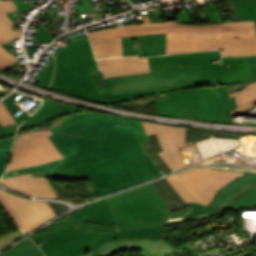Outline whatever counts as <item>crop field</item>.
<instances>
[{"instance_id":"obj_1","label":"crop field","mask_w":256,"mask_h":256,"mask_svg":"<svg viewBox=\"0 0 256 256\" xmlns=\"http://www.w3.org/2000/svg\"><path fill=\"white\" fill-rule=\"evenodd\" d=\"M50 137L63 159L50 163L53 170L33 177L88 180L97 197L162 176L139 146L134 133L84 138L51 127Z\"/></svg>"},{"instance_id":"obj_2","label":"crop field","mask_w":256,"mask_h":256,"mask_svg":"<svg viewBox=\"0 0 256 256\" xmlns=\"http://www.w3.org/2000/svg\"><path fill=\"white\" fill-rule=\"evenodd\" d=\"M106 200L116 225L82 223L78 217L34 241L41 243L40 249L46 256H89L99 244L109 240L159 238L170 210L153 183Z\"/></svg>"},{"instance_id":"obj_3","label":"crop field","mask_w":256,"mask_h":256,"mask_svg":"<svg viewBox=\"0 0 256 256\" xmlns=\"http://www.w3.org/2000/svg\"><path fill=\"white\" fill-rule=\"evenodd\" d=\"M51 90L107 104L132 99L152 89L200 84L198 66H149L151 73L104 78L98 71L89 39L74 41L56 55Z\"/></svg>"},{"instance_id":"obj_4","label":"crop field","mask_w":256,"mask_h":256,"mask_svg":"<svg viewBox=\"0 0 256 256\" xmlns=\"http://www.w3.org/2000/svg\"><path fill=\"white\" fill-rule=\"evenodd\" d=\"M88 32L96 58L123 56L121 37L167 33L166 54L199 50H221L223 56L256 55L254 21L215 24H178L177 21L150 23Z\"/></svg>"},{"instance_id":"obj_5","label":"crop field","mask_w":256,"mask_h":256,"mask_svg":"<svg viewBox=\"0 0 256 256\" xmlns=\"http://www.w3.org/2000/svg\"><path fill=\"white\" fill-rule=\"evenodd\" d=\"M201 85L153 90L167 98L157 100L159 115L228 122L236 108L235 98L226 99L225 85L251 80L245 57H222V64L199 66Z\"/></svg>"},{"instance_id":"obj_6","label":"crop field","mask_w":256,"mask_h":256,"mask_svg":"<svg viewBox=\"0 0 256 256\" xmlns=\"http://www.w3.org/2000/svg\"><path fill=\"white\" fill-rule=\"evenodd\" d=\"M52 103L59 112L63 133L84 137H104L134 132L129 119L83 111L53 101Z\"/></svg>"},{"instance_id":"obj_7","label":"crop field","mask_w":256,"mask_h":256,"mask_svg":"<svg viewBox=\"0 0 256 256\" xmlns=\"http://www.w3.org/2000/svg\"><path fill=\"white\" fill-rule=\"evenodd\" d=\"M147 135L156 133L164 151L158 153L171 171L182 169L200 162L193 143L185 145V131L173 126L141 121Z\"/></svg>"},{"instance_id":"obj_8","label":"crop field","mask_w":256,"mask_h":256,"mask_svg":"<svg viewBox=\"0 0 256 256\" xmlns=\"http://www.w3.org/2000/svg\"><path fill=\"white\" fill-rule=\"evenodd\" d=\"M49 130L34 131L20 135L15 140L7 170L50 163L63 156L48 136Z\"/></svg>"},{"instance_id":"obj_9","label":"crop field","mask_w":256,"mask_h":256,"mask_svg":"<svg viewBox=\"0 0 256 256\" xmlns=\"http://www.w3.org/2000/svg\"><path fill=\"white\" fill-rule=\"evenodd\" d=\"M244 174L196 167L174 176L197 202L207 205L222 186Z\"/></svg>"},{"instance_id":"obj_10","label":"crop field","mask_w":256,"mask_h":256,"mask_svg":"<svg viewBox=\"0 0 256 256\" xmlns=\"http://www.w3.org/2000/svg\"><path fill=\"white\" fill-rule=\"evenodd\" d=\"M0 204L24 233L56 217L47 202L17 197L1 189Z\"/></svg>"},{"instance_id":"obj_11","label":"crop field","mask_w":256,"mask_h":256,"mask_svg":"<svg viewBox=\"0 0 256 256\" xmlns=\"http://www.w3.org/2000/svg\"><path fill=\"white\" fill-rule=\"evenodd\" d=\"M126 249H140L142 256H169L175 253L173 247L165 241L147 238H121L98 246L90 256H109Z\"/></svg>"},{"instance_id":"obj_12","label":"crop field","mask_w":256,"mask_h":256,"mask_svg":"<svg viewBox=\"0 0 256 256\" xmlns=\"http://www.w3.org/2000/svg\"><path fill=\"white\" fill-rule=\"evenodd\" d=\"M17 10L13 0H0V70H7L18 59L10 54L2 45L21 37L22 32L12 30L13 22L6 12Z\"/></svg>"},{"instance_id":"obj_13","label":"crop field","mask_w":256,"mask_h":256,"mask_svg":"<svg viewBox=\"0 0 256 256\" xmlns=\"http://www.w3.org/2000/svg\"><path fill=\"white\" fill-rule=\"evenodd\" d=\"M0 183L21 193L40 198L59 199L47 178H32L30 174L2 179Z\"/></svg>"},{"instance_id":"obj_14","label":"crop field","mask_w":256,"mask_h":256,"mask_svg":"<svg viewBox=\"0 0 256 256\" xmlns=\"http://www.w3.org/2000/svg\"><path fill=\"white\" fill-rule=\"evenodd\" d=\"M105 77L150 72L147 58L128 56L96 60Z\"/></svg>"},{"instance_id":"obj_15","label":"crop field","mask_w":256,"mask_h":256,"mask_svg":"<svg viewBox=\"0 0 256 256\" xmlns=\"http://www.w3.org/2000/svg\"><path fill=\"white\" fill-rule=\"evenodd\" d=\"M80 216L83 222H92V223H98V224H106V225H113L114 221L112 219V216L110 214V210L108 208L106 200H101L98 202H95L85 208H82L77 211L76 214L54 224L53 226L47 228L45 231L31 237L33 240L40 237L41 235L61 226L62 224L76 218L77 216Z\"/></svg>"},{"instance_id":"obj_16","label":"crop field","mask_w":256,"mask_h":256,"mask_svg":"<svg viewBox=\"0 0 256 256\" xmlns=\"http://www.w3.org/2000/svg\"><path fill=\"white\" fill-rule=\"evenodd\" d=\"M220 59L219 51H206L199 53H185L180 55H168L148 57L149 65L180 63L182 65L212 64L211 60Z\"/></svg>"},{"instance_id":"obj_17","label":"crop field","mask_w":256,"mask_h":256,"mask_svg":"<svg viewBox=\"0 0 256 256\" xmlns=\"http://www.w3.org/2000/svg\"><path fill=\"white\" fill-rule=\"evenodd\" d=\"M256 183V174L248 173L243 177L236 178L224 187H222L215 195L213 201L207 205L212 211H219V209L226 203V201L235 194L238 190L246 185Z\"/></svg>"},{"instance_id":"obj_18","label":"crop field","mask_w":256,"mask_h":256,"mask_svg":"<svg viewBox=\"0 0 256 256\" xmlns=\"http://www.w3.org/2000/svg\"><path fill=\"white\" fill-rule=\"evenodd\" d=\"M215 213H213L211 210L203 205L190 202L189 206L186 207L184 210L171 212L166 224L177 221L200 219Z\"/></svg>"},{"instance_id":"obj_19","label":"crop field","mask_w":256,"mask_h":256,"mask_svg":"<svg viewBox=\"0 0 256 256\" xmlns=\"http://www.w3.org/2000/svg\"><path fill=\"white\" fill-rule=\"evenodd\" d=\"M56 113L57 110L51 101L46 100L32 116H30L25 122L22 123V127L26 131L34 126L51 121L55 118H58Z\"/></svg>"},{"instance_id":"obj_20","label":"crop field","mask_w":256,"mask_h":256,"mask_svg":"<svg viewBox=\"0 0 256 256\" xmlns=\"http://www.w3.org/2000/svg\"><path fill=\"white\" fill-rule=\"evenodd\" d=\"M233 96L236 98L238 108L229 112L230 117L256 104V82L249 84L245 89L239 92L228 94L229 98Z\"/></svg>"},{"instance_id":"obj_21","label":"crop field","mask_w":256,"mask_h":256,"mask_svg":"<svg viewBox=\"0 0 256 256\" xmlns=\"http://www.w3.org/2000/svg\"><path fill=\"white\" fill-rule=\"evenodd\" d=\"M154 185L167 203L170 210L184 207L186 205L165 178L154 182Z\"/></svg>"},{"instance_id":"obj_22","label":"crop field","mask_w":256,"mask_h":256,"mask_svg":"<svg viewBox=\"0 0 256 256\" xmlns=\"http://www.w3.org/2000/svg\"><path fill=\"white\" fill-rule=\"evenodd\" d=\"M227 207L235 210L256 207V185L238 193L236 197L228 203Z\"/></svg>"},{"instance_id":"obj_23","label":"crop field","mask_w":256,"mask_h":256,"mask_svg":"<svg viewBox=\"0 0 256 256\" xmlns=\"http://www.w3.org/2000/svg\"><path fill=\"white\" fill-rule=\"evenodd\" d=\"M165 44L166 34L146 35L145 56L165 55Z\"/></svg>"},{"instance_id":"obj_24","label":"crop field","mask_w":256,"mask_h":256,"mask_svg":"<svg viewBox=\"0 0 256 256\" xmlns=\"http://www.w3.org/2000/svg\"><path fill=\"white\" fill-rule=\"evenodd\" d=\"M239 21L256 19V0H235Z\"/></svg>"},{"instance_id":"obj_25","label":"crop field","mask_w":256,"mask_h":256,"mask_svg":"<svg viewBox=\"0 0 256 256\" xmlns=\"http://www.w3.org/2000/svg\"><path fill=\"white\" fill-rule=\"evenodd\" d=\"M19 93L13 92L10 97H8L4 102L6 104V106L8 107V109L10 110L11 114L13 115L19 108L20 106L14 104L13 102H15L16 100H14L13 98L16 97ZM28 113L26 111H24L23 113H21L19 116H14L16 122L15 124L11 125L12 129L17 128L20 123L26 119L28 117Z\"/></svg>"},{"instance_id":"obj_26","label":"crop field","mask_w":256,"mask_h":256,"mask_svg":"<svg viewBox=\"0 0 256 256\" xmlns=\"http://www.w3.org/2000/svg\"><path fill=\"white\" fill-rule=\"evenodd\" d=\"M130 122L143 149L146 151L152 149L153 147L143 129L141 122L133 119H130Z\"/></svg>"},{"instance_id":"obj_27","label":"crop field","mask_w":256,"mask_h":256,"mask_svg":"<svg viewBox=\"0 0 256 256\" xmlns=\"http://www.w3.org/2000/svg\"><path fill=\"white\" fill-rule=\"evenodd\" d=\"M13 137L0 140V176L5 170L8 155L11 150Z\"/></svg>"},{"instance_id":"obj_28","label":"crop field","mask_w":256,"mask_h":256,"mask_svg":"<svg viewBox=\"0 0 256 256\" xmlns=\"http://www.w3.org/2000/svg\"><path fill=\"white\" fill-rule=\"evenodd\" d=\"M50 169H51V167L49 166V164H45V165L32 166V167L18 169V170H12V171L5 173L1 177V179L7 178V177H12V176H17V175H22V174H27V173L50 170Z\"/></svg>"},{"instance_id":"obj_29","label":"crop field","mask_w":256,"mask_h":256,"mask_svg":"<svg viewBox=\"0 0 256 256\" xmlns=\"http://www.w3.org/2000/svg\"><path fill=\"white\" fill-rule=\"evenodd\" d=\"M166 179L176 190V192L180 195V197L185 201L186 204L189 203L190 201L195 202L193 198L184 190V188L175 180L173 176L166 177Z\"/></svg>"},{"instance_id":"obj_30","label":"crop field","mask_w":256,"mask_h":256,"mask_svg":"<svg viewBox=\"0 0 256 256\" xmlns=\"http://www.w3.org/2000/svg\"><path fill=\"white\" fill-rule=\"evenodd\" d=\"M15 123L12 115L10 114L9 110L5 106L4 102L0 104V125L2 127L8 126Z\"/></svg>"},{"instance_id":"obj_31","label":"crop field","mask_w":256,"mask_h":256,"mask_svg":"<svg viewBox=\"0 0 256 256\" xmlns=\"http://www.w3.org/2000/svg\"><path fill=\"white\" fill-rule=\"evenodd\" d=\"M53 70H54V59L52 58L46 70L44 72L39 71V73H41L43 76V80L38 84V86L48 88L51 81Z\"/></svg>"},{"instance_id":"obj_32","label":"crop field","mask_w":256,"mask_h":256,"mask_svg":"<svg viewBox=\"0 0 256 256\" xmlns=\"http://www.w3.org/2000/svg\"><path fill=\"white\" fill-rule=\"evenodd\" d=\"M21 248L25 251L26 254L38 250L36 245L29 238H27L26 240L22 241L21 243L12 247L9 250L13 253Z\"/></svg>"},{"instance_id":"obj_33","label":"crop field","mask_w":256,"mask_h":256,"mask_svg":"<svg viewBox=\"0 0 256 256\" xmlns=\"http://www.w3.org/2000/svg\"><path fill=\"white\" fill-rule=\"evenodd\" d=\"M24 236L19 230H16L6 236L0 238V250L6 247L7 245L13 243L17 239Z\"/></svg>"},{"instance_id":"obj_34","label":"crop field","mask_w":256,"mask_h":256,"mask_svg":"<svg viewBox=\"0 0 256 256\" xmlns=\"http://www.w3.org/2000/svg\"><path fill=\"white\" fill-rule=\"evenodd\" d=\"M40 40H43L47 43H49L51 40H53L52 36L49 34L46 27L41 24L40 28L37 30L35 34V41L39 42Z\"/></svg>"},{"instance_id":"obj_35","label":"crop field","mask_w":256,"mask_h":256,"mask_svg":"<svg viewBox=\"0 0 256 256\" xmlns=\"http://www.w3.org/2000/svg\"><path fill=\"white\" fill-rule=\"evenodd\" d=\"M207 5H208V7L204 8L203 10L205 11V13H206L208 19H209L210 21H218V22H221L222 20H221L219 14L217 13V11H216V9H215L213 3H209V4H207Z\"/></svg>"},{"instance_id":"obj_36","label":"crop field","mask_w":256,"mask_h":256,"mask_svg":"<svg viewBox=\"0 0 256 256\" xmlns=\"http://www.w3.org/2000/svg\"><path fill=\"white\" fill-rule=\"evenodd\" d=\"M83 5H80L78 7H74L75 10L78 9L77 14H81V13H85V12H89L92 11V7L90 5V2L88 0H82Z\"/></svg>"},{"instance_id":"obj_37","label":"crop field","mask_w":256,"mask_h":256,"mask_svg":"<svg viewBox=\"0 0 256 256\" xmlns=\"http://www.w3.org/2000/svg\"><path fill=\"white\" fill-rule=\"evenodd\" d=\"M251 72V76L256 78V56L246 57Z\"/></svg>"},{"instance_id":"obj_38","label":"crop field","mask_w":256,"mask_h":256,"mask_svg":"<svg viewBox=\"0 0 256 256\" xmlns=\"http://www.w3.org/2000/svg\"><path fill=\"white\" fill-rule=\"evenodd\" d=\"M16 130H12L10 126L2 128L0 126V139L14 135Z\"/></svg>"},{"instance_id":"obj_39","label":"crop field","mask_w":256,"mask_h":256,"mask_svg":"<svg viewBox=\"0 0 256 256\" xmlns=\"http://www.w3.org/2000/svg\"><path fill=\"white\" fill-rule=\"evenodd\" d=\"M177 18H178L179 23L192 22L188 12L182 13V14H177Z\"/></svg>"},{"instance_id":"obj_40","label":"crop field","mask_w":256,"mask_h":256,"mask_svg":"<svg viewBox=\"0 0 256 256\" xmlns=\"http://www.w3.org/2000/svg\"><path fill=\"white\" fill-rule=\"evenodd\" d=\"M25 255V253L23 252V250H19L15 253H11L9 250L5 251L4 253L0 254V256H23Z\"/></svg>"},{"instance_id":"obj_41","label":"crop field","mask_w":256,"mask_h":256,"mask_svg":"<svg viewBox=\"0 0 256 256\" xmlns=\"http://www.w3.org/2000/svg\"><path fill=\"white\" fill-rule=\"evenodd\" d=\"M25 256H44V255L42 254V252L40 250H38L36 252L30 253V254L25 255Z\"/></svg>"},{"instance_id":"obj_42","label":"crop field","mask_w":256,"mask_h":256,"mask_svg":"<svg viewBox=\"0 0 256 256\" xmlns=\"http://www.w3.org/2000/svg\"><path fill=\"white\" fill-rule=\"evenodd\" d=\"M27 96L25 95L21 99L17 100V102L21 103ZM29 98L33 99V97L28 96Z\"/></svg>"},{"instance_id":"obj_43","label":"crop field","mask_w":256,"mask_h":256,"mask_svg":"<svg viewBox=\"0 0 256 256\" xmlns=\"http://www.w3.org/2000/svg\"><path fill=\"white\" fill-rule=\"evenodd\" d=\"M255 24H256V21H255Z\"/></svg>"},{"instance_id":"obj_44","label":"crop field","mask_w":256,"mask_h":256,"mask_svg":"<svg viewBox=\"0 0 256 256\" xmlns=\"http://www.w3.org/2000/svg\"><path fill=\"white\" fill-rule=\"evenodd\" d=\"M131 1H133V0H131Z\"/></svg>"}]
</instances>
